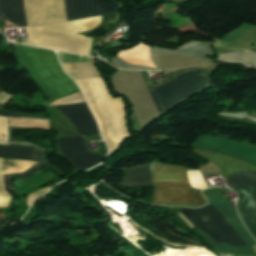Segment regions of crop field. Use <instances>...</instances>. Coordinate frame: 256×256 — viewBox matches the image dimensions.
I'll use <instances>...</instances> for the list:
<instances>
[{
    "label": "crop field",
    "instance_id": "crop-field-1",
    "mask_svg": "<svg viewBox=\"0 0 256 256\" xmlns=\"http://www.w3.org/2000/svg\"><path fill=\"white\" fill-rule=\"evenodd\" d=\"M27 25L72 21L117 12L119 2L102 0H24ZM23 0H0V20L6 19L26 27ZM101 21V16L72 22L26 28V44L57 51L89 55L92 38L75 33L89 31Z\"/></svg>",
    "mask_w": 256,
    "mask_h": 256
},
{
    "label": "crop field",
    "instance_id": "crop-field-2",
    "mask_svg": "<svg viewBox=\"0 0 256 256\" xmlns=\"http://www.w3.org/2000/svg\"><path fill=\"white\" fill-rule=\"evenodd\" d=\"M75 81L99 123L109 152L113 151L130 136L125 126L122 99H111L101 77Z\"/></svg>",
    "mask_w": 256,
    "mask_h": 256
},
{
    "label": "crop field",
    "instance_id": "crop-field-3",
    "mask_svg": "<svg viewBox=\"0 0 256 256\" xmlns=\"http://www.w3.org/2000/svg\"><path fill=\"white\" fill-rule=\"evenodd\" d=\"M7 142V118L0 117V144L7 145ZM8 145L36 148V158L38 163L9 160L18 159L37 162L35 158V149L0 145V158H9L0 159V175H4L16 162L17 163L5 175L23 172L35 164L23 173L4 176L5 191L15 190L11 179L29 177L35 171L49 166V163L46 161L45 157H43V153L46 149L32 142L11 139H9ZM0 191H4L3 176H0Z\"/></svg>",
    "mask_w": 256,
    "mask_h": 256
},
{
    "label": "crop field",
    "instance_id": "crop-field-4",
    "mask_svg": "<svg viewBox=\"0 0 256 256\" xmlns=\"http://www.w3.org/2000/svg\"><path fill=\"white\" fill-rule=\"evenodd\" d=\"M155 188L151 204L199 207L207 202L199 192L193 193L184 166L149 163Z\"/></svg>",
    "mask_w": 256,
    "mask_h": 256
},
{
    "label": "crop field",
    "instance_id": "crop-field-5",
    "mask_svg": "<svg viewBox=\"0 0 256 256\" xmlns=\"http://www.w3.org/2000/svg\"><path fill=\"white\" fill-rule=\"evenodd\" d=\"M18 47L54 100L79 92L73 80L63 72L54 52L23 45Z\"/></svg>",
    "mask_w": 256,
    "mask_h": 256
},
{
    "label": "crop field",
    "instance_id": "crop-field-6",
    "mask_svg": "<svg viewBox=\"0 0 256 256\" xmlns=\"http://www.w3.org/2000/svg\"><path fill=\"white\" fill-rule=\"evenodd\" d=\"M206 87L207 75L198 70H187L148 91L161 115Z\"/></svg>",
    "mask_w": 256,
    "mask_h": 256
},
{
    "label": "crop field",
    "instance_id": "crop-field-7",
    "mask_svg": "<svg viewBox=\"0 0 256 256\" xmlns=\"http://www.w3.org/2000/svg\"><path fill=\"white\" fill-rule=\"evenodd\" d=\"M180 212L192 225L209 234L217 243L246 245L212 205L199 209L180 208Z\"/></svg>",
    "mask_w": 256,
    "mask_h": 256
},
{
    "label": "crop field",
    "instance_id": "crop-field-8",
    "mask_svg": "<svg viewBox=\"0 0 256 256\" xmlns=\"http://www.w3.org/2000/svg\"><path fill=\"white\" fill-rule=\"evenodd\" d=\"M206 197L210 201V204H212L217 211L233 226V228L248 246L234 247L228 246L225 243L217 244L205 233L199 231L198 229L197 232L214 248L217 253L256 254V244L254 243L251 235L243 226L234 208L228 204V201L221 200L218 193L207 195Z\"/></svg>",
    "mask_w": 256,
    "mask_h": 256
},
{
    "label": "crop field",
    "instance_id": "crop-field-9",
    "mask_svg": "<svg viewBox=\"0 0 256 256\" xmlns=\"http://www.w3.org/2000/svg\"><path fill=\"white\" fill-rule=\"evenodd\" d=\"M197 149H211L243 159L256 165V145L247 141L241 143L222 136L200 135L191 145Z\"/></svg>",
    "mask_w": 256,
    "mask_h": 256
},
{
    "label": "crop field",
    "instance_id": "crop-field-10",
    "mask_svg": "<svg viewBox=\"0 0 256 256\" xmlns=\"http://www.w3.org/2000/svg\"><path fill=\"white\" fill-rule=\"evenodd\" d=\"M60 151L74 166L75 170L91 168L104 159L103 156L89 153L81 136L57 139Z\"/></svg>",
    "mask_w": 256,
    "mask_h": 256
},
{
    "label": "crop field",
    "instance_id": "crop-field-11",
    "mask_svg": "<svg viewBox=\"0 0 256 256\" xmlns=\"http://www.w3.org/2000/svg\"><path fill=\"white\" fill-rule=\"evenodd\" d=\"M61 112L74 126L79 134L98 135V127L86 103L54 107Z\"/></svg>",
    "mask_w": 256,
    "mask_h": 256
},
{
    "label": "crop field",
    "instance_id": "crop-field-12",
    "mask_svg": "<svg viewBox=\"0 0 256 256\" xmlns=\"http://www.w3.org/2000/svg\"><path fill=\"white\" fill-rule=\"evenodd\" d=\"M200 153L205 155L207 158H209L211 161H213L221 170H222V176L243 171V170H255L256 167L246 163L244 161H241L237 158L224 156L208 151H202L198 150Z\"/></svg>",
    "mask_w": 256,
    "mask_h": 256
},
{
    "label": "crop field",
    "instance_id": "crop-field-13",
    "mask_svg": "<svg viewBox=\"0 0 256 256\" xmlns=\"http://www.w3.org/2000/svg\"><path fill=\"white\" fill-rule=\"evenodd\" d=\"M252 190L253 187L241 189L245 193V197L239 208L247 228L256 239V200Z\"/></svg>",
    "mask_w": 256,
    "mask_h": 256
},
{
    "label": "crop field",
    "instance_id": "crop-field-14",
    "mask_svg": "<svg viewBox=\"0 0 256 256\" xmlns=\"http://www.w3.org/2000/svg\"><path fill=\"white\" fill-rule=\"evenodd\" d=\"M119 185L126 188L153 185L148 164L128 168L126 174L120 179Z\"/></svg>",
    "mask_w": 256,
    "mask_h": 256
},
{
    "label": "crop field",
    "instance_id": "crop-field-15",
    "mask_svg": "<svg viewBox=\"0 0 256 256\" xmlns=\"http://www.w3.org/2000/svg\"><path fill=\"white\" fill-rule=\"evenodd\" d=\"M65 71L73 78L99 77V73L93 64L61 63Z\"/></svg>",
    "mask_w": 256,
    "mask_h": 256
},
{
    "label": "crop field",
    "instance_id": "crop-field-16",
    "mask_svg": "<svg viewBox=\"0 0 256 256\" xmlns=\"http://www.w3.org/2000/svg\"><path fill=\"white\" fill-rule=\"evenodd\" d=\"M224 179L237 189L255 186L254 193L256 195V172H240L224 177Z\"/></svg>",
    "mask_w": 256,
    "mask_h": 256
},
{
    "label": "crop field",
    "instance_id": "crop-field-17",
    "mask_svg": "<svg viewBox=\"0 0 256 256\" xmlns=\"http://www.w3.org/2000/svg\"><path fill=\"white\" fill-rule=\"evenodd\" d=\"M9 125L13 127H30L49 130L48 121L40 119L9 118Z\"/></svg>",
    "mask_w": 256,
    "mask_h": 256
},
{
    "label": "crop field",
    "instance_id": "crop-field-18",
    "mask_svg": "<svg viewBox=\"0 0 256 256\" xmlns=\"http://www.w3.org/2000/svg\"><path fill=\"white\" fill-rule=\"evenodd\" d=\"M188 179L191 183V186L197 189L208 188L205 184L199 170L197 171H187Z\"/></svg>",
    "mask_w": 256,
    "mask_h": 256
},
{
    "label": "crop field",
    "instance_id": "crop-field-19",
    "mask_svg": "<svg viewBox=\"0 0 256 256\" xmlns=\"http://www.w3.org/2000/svg\"><path fill=\"white\" fill-rule=\"evenodd\" d=\"M79 102H85L81 92L76 93L71 96H68V97H65V98H62L60 100L54 101V102L50 103L49 106L69 104V103H79Z\"/></svg>",
    "mask_w": 256,
    "mask_h": 256
},
{
    "label": "crop field",
    "instance_id": "crop-field-20",
    "mask_svg": "<svg viewBox=\"0 0 256 256\" xmlns=\"http://www.w3.org/2000/svg\"><path fill=\"white\" fill-rule=\"evenodd\" d=\"M61 62H85L89 63L90 57L76 56L65 53H57Z\"/></svg>",
    "mask_w": 256,
    "mask_h": 256
},
{
    "label": "crop field",
    "instance_id": "crop-field-21",
    "mask_svg": "<svg viewBox=\"0 0 256 256\" xmlns=\"http://www.w3.org/2000/svg\"><path fill=\"white\" fill-rule=\"evenodd\" d=\"M50 188V186H47L43 189H40L36 192H33L31 194H29L26 197V203L28 206H30L33 202H35L37 199H39L42 195H44L46 193V191Z\"/></svg>",
    "mask_w": 256,
    "mask_h": 256
},
{
    "label": "crop field",
    "instance_id": "crop-field-22",
    "mask_svg": "<svg viewBox=\"0 0 256 256\" xmlns=\"http://www.w3.org/2000/svg\"><path fill=\"white\" fill-rule=\"evenodd\" d=\"M11 200L12 198L9 196L7 192H0V207H8Z\"/></svg>",
    "mask_w": 256,
    "mask_h": 256
},
{
    "label": "crop field",
    "instance_id": "crop-field-23",
    "mask_svg": "<svg viewBox=\"0 0 256 256\" xmlns=\"http://www.w3.org/2000/svg\"><path fill=\"white\" fill-rule=\"evenodd\" d=\"M11 97V95L3 92L0 94V104H4L9 98Z\"/></svg>",
    "mask_w": 256,
    "mask_h": 256
},
{
    "label": "crop field",
    "instance_id": "crop-field-24",
    "mask_svg": "<svg viewBox=\"0 0 256 256\" xmlns=\"http://www.w3.org/2000/svg\"><path fill=\"white\" fill-rule=\"evenodd\" d=\"M19 219H20L19 217H15V218L8 219L6 221H2V222H0V226L17 222Z\"/></svg>",
    "mask_w": 256,
    "mask_h": 256
},
{
    "label": "crop field",
    "instance_id": "crop-field-25",
    "mask_svg": "<svg viewBox=\"0 0 256 256\" xmlns=\"http://www.w3.org/2000/svg\"><path fill=\"white\" fill-rule=\"evenodd\" d=\"M0 115H1V116H14V117H20V115H16V114H14V113L5 112V111H0Z\"/></svg>",
    "mask_w": 256,
    "mask_h": 256
},
{
    "label": "crop field",
    "instance_id": "crop-field-26",
    "mask_svg": "<svg viewBox=\"0 0 256 256\" xmlns=\"http://www.w3.org/2000/svg\"><path fill=\"white\" fill-rule=\"evenodd\" d=\"M232 256H256V255L233 254Z\"/></svg>",
    "mask_w": 256,
    "mask_h": 256
}]
</instances>
